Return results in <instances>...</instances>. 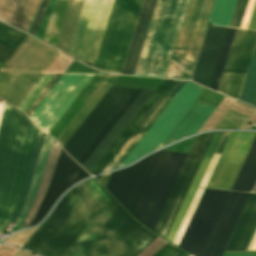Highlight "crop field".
Instances as JSON below:
<instances>
[{"label":"crop field","instance_id":"obj_15","mask_svg":"<svg viewBox=\"0 0 256 256\" xmlns=\"http://www.w3.org/2000/svg\"><path fill=\"white\" fill-rule=\"evenodd\" d=\"M87 177L90 176L61 150L48 190L31 226L37 224L45 217L46 213L65 190Z\"/></svg>","mask_w":256,"mask_h":256},{"label":"crop field","instance_id":"obj_47","mask_svg":"<svg viewBox=\"0 0 256 256\" xmlns=\"http://www.w3.org/2000/svg\"><path fill=\"white\" fill-rule=\"evenodd\" d=\"M254 124H256V123H254ZM253 126H256V125H253ZM251 129H256V127H251Z\"/></svg>","mask_w":256,"mask_h":256},{"label":"crop field","instance_id":"obj_8","mask_svg":"<svg viewBox=\"0 0 256 256\" xmlns=\"http://www.w3.org/2000/svg\"><path fill=\"white\" fill-rule=\"evenodd\" d=\"M97 0H85L70 45L69 54L79 57ZM113 0H98L80 59L94 63Z\"/></svg>","mask_w":256,"mask_h":256},{"label":"crop field","instance_id":"obj_37","mask_svg":"<svg viewBox=\"0 0 256 256\" xmlns=\"http://www.w3.org/2000/svg\"><path fill=\"white\" fill-rule=\"evenodd\" d=\"M239 99L256 105V46Z\"/></svg>","mask_w":256,"mask_h":256},{"label":"crop field","instance_id":"obj_34","mask_svg":"<svg viewBox=\"0 0 256 256\" xmlns=\"http://www.w3.org/2000/svg\"><path fill=\"white\" fill-rule=\"evenodd\" d=\"M61 148L58 146V144L56 142H54L53 146H52V149H51V152H50V156H49V159H48V162H47V165H46V169H45V172H44V176H43V179H42V182L40 184V187H39V190L37 192V195L35 197V200L32 204V207L26 217V220H25V223L22 227L23 228H27L30 226L31 224V221L45 195V192H46V189L48 187V184H49V181L51 179V176H52V172H53V168H54V165L58 159V155H59V152H60Z\"/></svg>","mask_w":256,"mask_h":256},{"label":"crop field","instance_id":"obj_12","mask_svg":"<svg viewBox=\"0 0 256 256\" xmlns=\"http://www.w3.org/2000/svg\"><path fill=\"white\" fill-rule=\"evenodd\" d=\"M229 192L205 189L179 248L199 256Z\"/></svg>","mask_w":256,"mask_h":256},{"label":"crop field","instance_id":"obj_19","mask_svg":"<svg viewBox=\"0 0 256 256\" xmlns=\"http://www.w3.org/2000/svg\"><path fill=\"white\" fill-rule=\"evenodd\" d=\"M54 52L53 48L27 35L3 67L41 70Z\"/></svg>","mask_w":256,"mask_h":256},{"label":"crop field","instance_id":"obj_11","mask_svg":"<svg viewBox=\"0 0 256 256\" xmlns=\"http://www.w3.org/2000/svg\"><path fill=\"white\" fill-rule=\"evenodd\" d=\"M92 76L62 75L30 117L40 128L49 132ZM35 123L39 130L48 133Z\"/></svg>","mask_w":256,"mask_h":256},{"label":"crop field","instance_id":"obj_39","mask_svg":"<svg viewBox=\"0 0 256 256\" xmlns=\"http://www.w3.org/2000/svg\"><path fill=\"white\" fill-rule=\"evenodd\" d=\"M231 132H225L215 153L220 154ZM220 155L215 154L199 187H205Z\"/></svg>","mask_w":256,"mask_h":256},{"label":"crop field","instance_id":"obj_42","mask_svg":"<svg viewBox=\"0 0 256 256\" xmlns=\"http://www.w3.org/2000/svg\"><path fill=\"white\" fill-rule=\"evenodd\" d=\"M184 253L185 252L181 251L180 249L167 243L153 256H182Z\"/></svg>","mask_w":256,"mask_h":256},{"label":"crop field","instance_id":"obj_35","mask_svg":"<svg viewBox=\"0 0 256 256\" xmlns=\"http://www.w3.org/2000/svg\"><path fill=\"white\" fill-rule=\"evenodd\" d=\"M26 34L0 22V63L4 64ZM27 37V36H26Z\"/></svg>","mask_w":256,"mask_h":256},{"label":"crop field","instance_id":"obj_27","mask_svg":"<svg viewBox=\"0 0 256 256\" xmlns=\"http://www.w3.org/2000/svg\"><path fill=\"white\" fill-rule=\"evenodd\" d=\"M117 77L118 76L108 74L107 77L100 84V86L96 89V91L92 94V96L81 108V110L65 128L62 134L56 140L62 147L71 137V135L75 132V130L79 127V125L83 122V120L87 117V115L94 108V106L98 103V101L102 98V96L105 94L108 88L117 79Z\"/></svg>","mask_w":256,"mask_h":256},{"label":"crop field","instance_id":"obj_28","mask_svg":"<svg viewBox=\"0 0 256 256\" xmlns=\"http://www.w3.org/2000/svg\"><path fill=\"white\" fill-rule=\"evenodd\" d=\"M106 75L107 74L105 73H96V75L92 78V80L88 83L85 89L81 92V94L77 97V99L73 102V104L69 107V109L65 112V114L61 117V119L58 121V123L54 126V128L50 131L48 135H50L55 140L57 139V137L61 134L64 128L68 125V123L80 110L83 104L87 101V99L99 86L102 80L106 77Z\"/></svg>","mask_w":256,"mask_h":256},{"label":"crop field","instance_id":"obj_13","mask_svg":"<svg viewBox=\"0 0 256 256\" xmlns=\"http://www.w3.org/2000/svg\"><path fill=\"white\" fill-rule=\"evenodd\" d=\"M256 133L232 132L206 187L229 190Z\"/></svg>","mask_w":256,"mask_h":256},{"label":"crop field","instance_id":"obj_32","mask_svg":"<svg viewBox=\"0 0 256 256\" xmlns=\"http://www.w3.org/2000/svg\"><path fill=\"white\" fill-rule=\"evenodd\" d=\"M61 75L62 74H53L52 76V74H46V75H43L42 78L40 77L41 79L37 82V84L33 87V89L28 93V95L24 98V100L19 104L18 108L24 111L52 76V78L45 85L42 91L38 94V96L34 99V101L28 106V108L24 111L29 117L30 114L34 111V109L45 97V95L57 82V80L60 78Z\"/></svg>","mask_w":256,"mask_h":256},{"label":"crop field","instance_id":"obj_43","mask_svg":"<svg viewBox=\"0 0 256 256\" xmlns=\"http://www.w3.org/2000/svg\"><path fill=\"white\" fill-rule=\"evenodd\" d=\"M49 1L50 0H43L42 1L41 5H40V8H39V10L37 12V15L35 17V20H34V22L32 24V27H31V29L29 31L30 34L35 35V32H36V30H37V28L39 26V23H40V21L42 19V16H43V14H44V12L46 10V7H47Z\"/></svg>","mask_w":256,"mask_h":256},{"label":"crop field","instance_id":"obj_45","mask_svg":"<svg viewBox=\"0 0 256 256\" xmlns=\"http://www.w3.org/2000/svg\"><path fill=\"white\" fill-rule=\"evenodd\" d=\"M247 29H254L256 30V3L250 18V22Z\"/></svg>","mask_w":256,"mask_h":256},{"label":"crop field","instance_id":"obj_16","mask_svg":"<svg viewBox=\"0 0 256 256\" xmlns=\"http://www.w3.org/2000/svg\"><path fill=\"white\" fill-rule=\"evenodd\" d=\"M227 29L211 27L206 30L191 80L209 87Z\"/></svg>","mask_w":256,"mask_h":256},{"label":"crop field","instance_id":"obj_31","mask_svg":"<svg viewBox=\"0 0 256 256\" xmlns=\"http://www.w3.org/2000/svg\"><path fill=\"white\" fill-rule=\"evenodd\" d=\"M83 0H70L59 32L56 47L67 52Z\"/></svg>","mask_w":256,"mask_h":256},{"label":"crop field","instance_id":"obj_14","mask_svg":"<svg viewBox=\"0 0 256 256\" xmlns=\"http://www.w3.org/2000/svg\"><path fill=\"white\" fill-rule=\"evenodd\" d=\"M250 194L230 192L200 256H221Z\"/></svg>","mask_w":256,"mask_h":256},{"label":"crop field","instance_id":"obj_33","mask_svg":"<svg viewBox=\"0 0 256 256\" xmlns=\"http://www.w3.org/2000/svg\"><path fill=\"white\" fill-rule=\"evenodd\" d=\"M45 136H46V134H44L40 131L37 132L36 139H35V142H34V146H33L31 156H30V159H29L25 179H24L23 186H22L20 196H19V199H18V203H17L16 209L13 213V216L10 220V223H16V221H17V219H18V217H19V215L22 211V208H23V205H24V202H25V198H26V195H27V192H28V189H29V185H30V182H31V178H32V175H33V172H34V168H35V165H36V161H37V158H38L39 150H40V147L43 143V140H44Z\"/></svg>","mask_w":256,"mask_h":256},{"label":"crop field","instance_id":"obj_21","mask_svg":"<svg viewBox=\"0 0 256 256\" xmlns=\"http://www.w3.org/2000/svg\"><path fill=\"white\" fill-rule=\"evenodd\" d=\"M41 76L0 72V98L17 107Z\"/></svg>","mask_w":256,"mask_h":256},{"label":"crop field","instance_id":"obj_30","mask_svg":"<svg viewBox=\"0 0 256 256\" xmlns=\"http://www.w3.org/2000/svg\"><path fill=\"white\" fill-rule=\"evenodd\" d=\"M53 141L54 140L49 136H46V138L44 140V143L41 147L37 167H36L33 179H32V183H31L28 195H27V199H26L23 211H22L17 223H22V224L24 223L25 216H26V214H27L32 202H33V199L36 195V192H37V189L39 187L40 181L42 179L43 172H44V169H45V165H46L48 155H49V152H50Z\"/></svg>","mask_w":256,"mask_h":256},{"label":"crop field","instance_id":"obj_3","mask_svg":"<svg viewBox=\"0 0 256 256\" xmlns=\"http://www.w3.org/2000/svg\"><path fill=\"white\" fill-rule=\"evenodd\" d=\"M143 89L110 87L94 110L63 147L80 165H84L108 136ZM154 90H144L109 136L83 166L90 172Z\"/></svg>","mask_w":256,"mask_h":256},{"label":"crop field","instance_id":"obj_38","mask_svg":"<svg viewBox=\"0 0 256 256\" xmlns=\"http://www.w3.org/2000/svg\"><path fill=\"white\" fill-rule=\"evenodd\" d=\"M236 0H216L209 22L217 26H229Z\"/></svg>","mask_w":256,"mask_h":256},{"label":"crop field","instance_id":"obj_18","mask_svg":"<svg viewBox=\"0 0 256 256\" xmlns=\"http://www.w3.org/2000/svg\"><path fill=\"white\" fill-rule=\"evenodd\" d=\"M236 30L237 29H233V28L228 29V32H227L220 56H219V60H218V63H217L210 87H209L210 89L217 90V87H218L228 54H229ZM245 32L246 31H244V30H240V29L237 30V33H236L226 66H225V69H224V72H223V75H222V78H221V81H220V84H219V87L217 90L218 92H220L224 95L226 94V91H227V88H228V85L230 82V78H231V75H232V72H233V69H234L240 48H241V44H242V41H243V38L245 35Z\"/></svg>","mask_w":256,"mask_h":256},{"label":"crop field","instance_id":"obj_4","mask_svg":"<svg viewBox=\"0 0 256 256\" xmlns=\"http://www.w3.org/2000/svg\"><path fill=\"white\" fill-rule=\"evenodd\" d=\"M36 131L22 112L7 105L0 130V227L6 228L15 209Z\"/></svg>","mask_w":256,"mask_h":256},{"label":"crop field","instance_id":"obj_9","mask_svg":"<svg viewBox=\"0 0 256 256\" xmlns=\"http://www.w3.org/2000/svg\"><path fill=\"white\" fill-rule=\"evenodd\" d=\"M202 90L203 88L186 82L120 167L155 150Z\"/></svg>","mask_w":256,"mask_h":256},{"label":"crop field","instance_id":"obj_1","mask_svg":"<svg viewBox=\"0 0 256 256\" xmlns=\"http://www.w3.org/2000/svg\"><path fill=\"white\" fill-rule=\"evenodd\" d=\"M156 237L92 178L61 199L23 248L40 256H137Z\"/></svg>","mask_w":256,"mask_h":256},{"label":"crop field","instance_id":"obj_48","mask_svg":"<svg viewBox=\"0 0 256 256\" xmlns=\"http://www.w3.org/2000/svg\"><path fill=\"white\" fill-rule=\"evenodd\" d=\"M255 191H256V187H255V189H254Z\"/></svg>","mask_w":256,"mask_h":256},{"label":"crop field","instance_id":"obj_36","mask_svg":"<svg viewBox=\"0 0 256 256\" xmlns=\"http://www.w3.org/2000/svg\"><path fill=\"white\" fill-rule=\"evenodd\" d=\"M68 1L69 0H56L45 36L43 39L44 41L52 45H55Z\"/></svg>","mask_w":256,"mask_h":256},{"label":"crop field","instance_id":"obj_22","mask_svg":"<svg viewBox=\"0 0 256 256\" xmlns=\"http://www.w3.org/2000/svg\"><path fill=\"white\" fill-rule=\"evenodd\" d=\"M172 81L163 80L162 83L158 86L155 92L151 95V97L147 100L144 106L140 109V111L136 114L133 120L129 123V125L125 128V130L121 133L118 139L114 142V144L110 147L107 153L103 156V158L99 161L96 167L92 170L90 174L96 175L102 172L105 166L109 163V161L113 158L116 152L120 149V147L124 144L127 138L131 135V133L135 130L138 124L142 121V119L146 116L149 110L153 107V105L157 102L160 96L164 93V91L168 88Z\"/></svg>","mask_w":256,"mask_h":256},{"label":"crop field","instance_id":"obj_25","mask_svg":"<svg viewBox=\"0 0 256 256\" xmlns=\"http://www.w3.org/2000/svg\"><path fill=\"white\" fill-rule=\"evenodd\" d=\"M156 0H144L121 74L133 75Z\"/></svg>","mask_w":256,"mask_h":256},{"label":"crop field","instance_id":"obj_41","mask_svg":"<svg viewBox=\"0 0 256 256\" xmlns=\"http://www.w3.org/2000/svg\"><path fill=\"white\" fill-rule=\"evenodd\" d=\"M248 0H237L229 27L239 28Z\"/></svg>","mask_w":256,"mask_h":256},{"label":"crop field","instance_id":"obj_26","mask_svg":"<svg viewBox=\"0 0 256 256\" xmlns=\"http://www.w3.org/2000/svg\"><path fill=\"white\" fill-rule=\"evenodd\" d=\"M256 43V32L247 31L231 78L227 96L239 98L248 65Z\"/></svg>","mask_w":256,"mask_h":256},{"label":"crop field","instance_id":"obj_29","mask_svg":"<svg viewBox=\"0 0 256 256\" xmlns=\"http://www.w3.org/2000/svg\"><path fill=\"white\" fill-rule=\"evenodd\" d=\"M256 182V136L230 190L248 192Z\"/></svg>","mask_w":256,"mask_h":256},{"label":"crop field","instance_id":"obj_46","mask_svg":"<svg viewBox=\"0 0 256 256\" xmlns=\"http://www.w3.org/2000/svg\"><path fill=\"white\" fill-rule=\"evenodd\" d=\"M5 107L6 106H4L0 103V125H1V122H2L3 115H4Z\"/></svg>","mask_w":256,"mask_h":256},{"label":"crop field","instance_id":"obj_2","mask_svg":"<svg viewBox=\"0 0 256 256\" xmlns=\"http://www.w3.org/2000/svg\"><path fill=\"white\" fill-rule=\"evenodd\" d=\"M213 133L214 132L199 135L189 155L187 153L163 151L159 158L154 172L133 215L135 219H137L142 225L150 230H153L164 207V204L170 194V191L176 181V178L182 168V165L188 155L177 178V181L171 191V194L165 204V207L159 217V220L153 230V232L162 239H165L170 229V226L175 218V215L181 205V202L186 194V191L192 181V178L197 170V167L203 157V154ZM223 133L224 132H215L209 143L204 157L165 239L169 243H172L178 231V228L185 216V213L191 203V200L198 188V185Z\"/></svg>","mask_w":256,"mask_h":256},{"label":"crop field","instance_id":"obj_20","mask_svg":"<svg viewBox=\"0 0 256 256\" xmlns=\"http://www.w3.org/2000/svg\"><path fill=\"white\" fill-rule=\"evenodd\" d=\"M214 109L213 106L195 100L158 148L197 133Z\"/></svg>","mask_w":256,"mask_h":256},{"label":"crop field","instance_id":"obj_7","mask_svg":"<svg viewBox=\"0 0 256 256\" xmlns=\"http://www.w3.org/2000/svg\"><path fill=\"white\" fill-rule=\"evenodd\" d=\"M214 0H190L179 36L165 77L169 76L173 61L193 69ZM191 71L173 63L170 76L188 74ZM191 74L171 78L189 79Z\"/></svg>","mask_w":256,"mask_h":256},{"label":"crop field","instance_id":"obj_23","mask_svg":"<svg viewBox=\"0 0 256 256\" xmlns=\"http://www.w3.org/2000/svg\"><path fill=\"white\" fill-rule=\"evenodd\" d=\"M256 228V194H251L224 251H245Z\"/></svg>","mask_w":256,"mask_h":256},{"label":"crop field","instance_id":"obj_40","mask_svg":"<svg viewBox=\"0 0 256 256\" xmlns=\"http://www.w3.org/2000/svg\"><path fill=\"white\" fill-rule=\"evenodd\" d=\"M203 190L204 189H201V188L198 189V191H197V193H196V195L194 197V200H193V202H192V204H191V206L189 208V211H188V213H187V215H186V217L184 219V222H183V224H182V226H181V228L179 230V233H178L174 243L179 244V242H180V240L182 238V235H183V233H184V231H185V229H186V227L188 225V222H189V220H190V218H191V216L193 214V211H194V209H195V207H196V205H197V203L199 201V198H200ZM174 243H173V245H175ZM175 246H177V245H175Z\"/></svg>","mask_w":256,"mask_h":256},{"label":"crop field","instance_id":"obj_24","mask_svg":"<svg viewBox=\"0 0 256 256\" xmlns=\"http://www.w3.org/2000/svg\"><path fill=\"white\" fill-rule=\"evenodd\" d=\"M41 0H0V20L27 31Z\"/></svg>","mask_w":256,"mask_h":256},{"label":"crop field","instance_id":"obj_17","mask_svg":"<svg viewBox=\"0 0 256 256\" xmlns=\"http://www.w3.org/2000/svg\"><path fill=\"white\" fill-rule=\"evenodd\" d=\"M184 83L185 82L173 81V83L170 85V87L167 89L164 95L160 98V100L156 103L153 109L149 112V114L145 117V119L141 122V124L137 127V129L133 132V134L122 146V148L118 151V153L114 156V158L103 170V172L116 169L119 167V165L127 157L130 151L134 148V146L138 143V141L150 128L153 122L157 119V117L161 114V112L173 99L176 93L184 85Z\"/></svg>","mask_w":256,"mask_h":256},{"label":"crop field","instance_id":"obj_6","mask_svg":"<svg viewBox=\"0 0 256 256\" xmlns=\"http://www.w3.org/2000/svg\"><path fill=\"white\" fill-rule=\"evenodd\" d=\"M143 0H115L94 67L120 73Z\"/></svg>","mask_w":256,"mask_h":256},{"label":"crop field","instance_id":"obj_10","mask_svg":"<svg viewBox=\"0 0 256 256\" xmlns=\"http://www.w3.org/2000/svg\"><path fill=\"white\" fill-rule=\"evenodd\" d=\"M162 150L128 168L113 172L109 178L105 189L131 216L137 207Z\"/></svg>","mask_w":256,"mask_h":256},{"label":"crop field","instance_id":"obj_5","mask_svg":"<svg viewBox=\"0 0 256 256\" xmlns=\"http://www.w3.org/2000/svg\"><path fill=\"white\" fill-rule=\"evenodd\" d=\"M189 0H157L134 75L164 77Z\"/></svg>","mask_w":256,"mask_h":256},{"label":"crop field","instance_id":"obj_44","mask_svg":"<svg viewBox=\"0 0 256 256\" xmlns=\"http://www.w3.org/2000/svg\"><path fill=\"white\" fill-rule=\"evenodd\" d=\"M254 3H255V0H249L247 8H246V11H245V15H244V18H243V21H242V24H241L240 28H243V29L247 28V25H248V22H249V18H250V15H251Z\"/></svg>","mask_w":256,"mask_h":256}]
</instances>
